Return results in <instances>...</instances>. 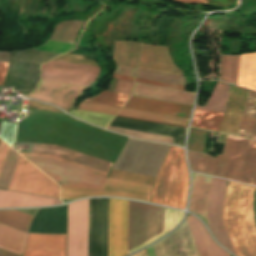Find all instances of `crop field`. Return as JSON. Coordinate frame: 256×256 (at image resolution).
<instances>
[{
  "label": "crop field",
  "mask_w": 256,
  "mask_h": 256,
  "mask_svg": "<svg viewBox=\"0 0 256 256\" xmlns=\"http://www.w3.org/2000/svg\"><path fill=\"white\" fill-rule=\"evenodd\" d=\"M254 211H255V220H256V196H255V202H254Z\"/></svg>",
  "instance_id": "0765c3eb"
},
{
  "label": "crop field",
  "mask_w": 256,
  "mask_h": 256,
  "mask_svg": "<svg viewBox=\"0 0 256 256\" xmlns=\"http://www.w3.org/2000/svg\"><path fill=\"white\" fill-rule=\"evenodd\" d=\"M54 60L98 66L95 60L83 59V56H79V55L64 54Z\"/></svg>",
  "instance_id": "5d738f31"
},
{
  "label": "crop field",
  "mask_w": 256,
  "mask_h": 256,
  "mask_svg": "<svg viewBox=\"0 0 256 256\" xmlns=\"http://www.w3.org/2000/svg\"><path fill=\"white\" fill-rule=\"evenodd\" d=\"M87 89L85 86L41 81L37 89L27 97L51 102L67 111L77 96Z\"/></svg>",
  "instance_id": "5142ce71"
},
{
  "label": "crop field",
  "mask_w": 256,
  "mask_h": 256,
  "mask_svg": "<svg viewBox=\"0 0 256 256\" xmlns=\"http://www.w3.org/2000/svg\"><path fill=\"white\" fill-rule=\"evenodd\" d=\"M223 114L196 110L191 126L219 132Z\"/></svg>",
  "instance_id": "750c4746"
},
{
  "label": "crop field",
  "mask_w": 256,
  "mask_h": 256,
  "mask_svg": "<svg viewBox=\"0 0 256 256\" xmlns=\"http://www.w3.org/2000/svg\"><path fill=\"white\" fill-rule=\"evenodd\" d=\"M8 148H9V146H7L5 143L1 142V145H0V170H1L2 164L4 162Z\"/></svg>",
  "instance_id": "73cf0c24"
},
{
  "label": "crop field",
  "mask_w": 256,
  "mask_h": 256,
  "mask_svg": "<svg viewBox=\"0 0 256 256\" xmlns=\"http://www.w3.org/2000/svg\"><path fill=\"white\" fill-rule=\"evenodd\" d=\"M110 178L122 179L152 185L155 177L112 170Z\"/></svg>",
  "instance_id": "b80d0937"
},
{
  "label": "crop field",
  "mask_w": 256,
  "mask_h": 256,
  "mask_svg": "<svg viewBox=\"0 0 256 256\" xmlns=\"http://www.w3.org/2000/svg\"><path fill=\"white\" fill-rule=\"evenodd\" d=\"M136 77L156 80V81H161L166 83H172V84H177L182 86H184L185 84V79L181 76L163 74V73L140 70V69H138Z\"/></svg>",
  "instance_id": "028f5c9d"
},
{
  "label": "crop field",
  "mask_w": 256,
  "mask_h": 256,
  "mask_svg": "<svg viewBox=\"0 0 256 256\" xmlns=\"http://www.w3.org/2000/svg\"><path fill=\"white\" fill-rule=\"evenodd\" d=\"M247 91L232 85L220 132L237 135Z\"/></svg>",
  "instance_id": "bc2a9ffb"
},
{
  "label": "crop field",
  "mask_w": 256,
  "mask_h": 256,
  "mask_svg": "<svg viewBox=\"0 0 256 256\" xmlns=\"http://www.w3.org/2000/svg\"><path fill=\"white\" fill-rule=\"evenodd\" d=\"M33 215L0 211V223L28 233ZM67 205L39 209L29 233L66 235ZM29 234L23 256H66V236Z\"/></svg>",
  "instance_id": "ac0d7876"
},
{
  "label": "crop field",
  "mask_w": 256,
  "mask_h": 256,
  "mask_svg": "<svg viewBox=\"0 0 256 256\" xmlns=\"http://www.w3.org/2000/svg\"><path fill=\"white\" fill-rule=\"evenodd\" d=\"M132 256H147V253H146V250L144 249V250H142V251H140V252H138V253H136Z\"/></svg>",
  "instance_id": "9d1cf04e"
},
{
  "label": "crop field",
  "mask_w": 256,
  "mask_h": 256,
  "mask_svg": "<svg viewBox=\"0 0 256 256\" xmlns=\"http://www.w3.org/2000/svg\"><path fill=\"white\" fill-rule=\"evenodd\" d=\"M256 188L227 181L224 228L238 256H256V225L253 202Z\"/></svg>",
  "instance_id": "412701ff"
},
{
  "label": "crop field",
  "mask_w": 256,
  "mask_h": 256,
  "mask_svg": "<svg viewBox=\"0 0 256 256\" xmlns=\"http://www.w3.org/2000/svg\"><path fill=\"white\" fill-rule=\"evenodd\" d=\"M193 184L189 211L207 224L206 208L211 177L192 173ZM208 226V224H207Z\"/></svg>",
  "instance_id": "00972430"
},
{
  "label": "crop field",
  "mask_w": 256,
  "mask_h": 256,
  "mask_svg": "<svg viewBox=\"0 0 256 256\" xmlns=\"http://www.w3.org/2000/svg\"><path fill=\"white\" fill-rule=\"evenodd\" d=\"M1 142V141H0Z\"/></svg>",
  "instance_id": "db79e9e6"
},
{
  "label": "crop field",
  "mask_w": 256,
  "mask_h": 256,
  "mask_svg": "<svg viewBox=\"0 0 256 256\" xmlns=\"http://www.w3.org/2000/svg\"><path fill=\"white\" fill-rule=\"evenodd\" d=\"M124 107L186 118H189L192 108L190 106H184L135 96H132Z\"/></svg>",
  "instance_id": "92a150f3"
},
{
  "label": "crop field",
  "mask_w": 256,
  "mask_h": 256,
  "mask_svg": "<svg viewBox=\"0 0 256 256\" xmlns=\"http://www.w3.org/2000/svg\"><path fill=\"white\" fill-rule=\"evenodd\" d=\"M225 184V180L212 177L207 208L208 223L209 228L216 237L217 241L236 255L230 243V240L223 228L222 208Z\"/></svg>",
  "instance_id": "22f410ed"
},
{
  "label": "crop field",
  "mask_w": 256,
  "mask_h": 256,
  "mask_svg": "<svg viewBox=\"0 0 256 256\" xmlns=\"http://www.w3.org/2000/svg\"><path fill=\"white\" fill-rule=\"evenodd\" d=\"M208 132L191 128L188 149L203 152Z\"/></svg>",
  "instance_id": "0bd39190"
},
{
  "label": "crop field",
  "mask_w": 256,
  "mask_h": 256,
  "mask_svg": "<svg viewBox=\"0 0 256 256\" xmlns=\"http://www.w3.org/2000/svg\"><path fill=\"white\" fill-rule=\"evenodd\" d=\"M188 157L193 171L256 186V141L228 135L216 159L190 150Z\"/></svg>",
  "instance_id": "34b2d1b8"
},
{
  "label": "crop field",
  "mask_w": 256,
  "mask_h": 256,
  "mask_svg": "<svg viewBox=\"0 0 256 256\" xmlns=\"http://www.w3.org/2000/svg\"><path fill=\"white\" fill-rule=\"evenodd\" d=\"M73 45L74 44H71V43H63L58 41L55 42V41L48 40L44 45L40 47H35L33 49L61 54L72 49Z\"/></svg>",
  "instance_id": "c035e120"
},
{
  "label": "crop field",
  "mask_w": 256,
  "mask_h": 256,
  "mask_svg": "<svg viewBox=\"0 0 256 256\" xmlns=\"http://www.w3.org/2000/svg\"><path fill=\"white\" fill-rule=\"evenodd\" d=\"M78 108L93 110V111H98V112H103V113H108V114H113V115H116V113L120 109L119 107H113V106L97 104V103H92V102H86V101L81 102V104L78 106Z\"/></svg>",
  "instance_id": "c21b1889"
},
{
  "label": "crop field",
  "mask_w": 256,
  "mask_h": 256,
  "mask_svg": "<svg viewBox=\"0 0 256 256\" xmlns=\"http://www.w3.org/2000/svg\"><path fill=\"white\" fill-rule=\"evenodd\" d=\"M8 189L59 198V186L21 156Z\"/></svg>",
  "instance_id": "d8731c3e"
},
{
  "label": "crop field",
  "mask_w": 256,
  "mask_h": 256,
  "mask_svg": "<svg viewBox=\"0 0 256 256\" xmlns=\"http://www.w3.org/2000/svg\"><path fill=\"white\" fill-rule=\"evenodd\" d=\"M178 2H186V3H205L208 4L207 0H173Z\"/></svg>",
  "instance_id": "1f2cbd36"
},
{
  "label": "crop field",
  "mask_w": 256,
  "mask_h": 256,
  "mask_svg": "<svg viewBox=\"0 0 256 256\" xmlns=\"http://www.w3.org/2000/svg\"><path fill=\"white\" fill-rule=\"evenodd\" d=\"M57 54L28 49L11 52L3 87L33 90L38 80L40 65Z\"/></svg>",
  "instance_id": "e52e79f7"
},
{
  "label": "crop field",
  "mask_w": 256,
  "mask_h": 256,
  "mask_svg": "<svg viewBox=\"0 0 256 256\" xmlns=\"http://www.w3.org/2000/svg\"><path fill=\"white\" fill-rule=\"evenodd\" d=\"M186 221L199 256H230L229 253L221 249L213 241L207 229L197 218L192 215H188Z\"/></svg>",
  "instance_id": "dafd665d"
},
{
  "label": "crop field",
  "mask_w": 256,
  "mask_h": 256,
  "mask_svg": "<svg viewBox=\"0 0 256 256\" xmlns=\"http://www.w3.org/2000/svg\"><path fill=\"white\" fill-rule=\"evenodd\" d=\"M240 56H221L219 80L237 85Z\"/></svg>",
  "instance_id": "1d83c4d3"
},
{
  "label": "crop field",
  "mask_w": 256,
  "mask_h": 256,
  "mask_svg": "<svg viewBox=\"0 0 256 256\" xmlns=\"http://www.w3.org/2000/svg\"><path fill=\"white\" fill-rule=\"evenodd\" d=\"M128 201L110 199L108 256L127 255Z\"/></svg>",
  "instance_id": "d1516ede"
},
{
  "label": "crop field",
  "mask_w": 256,
  "mask_h": 256,
  "mask_svg": "<svg viewBox=\"0 0 256 256\" xmlns=\"http://www.w3.org/2000/svg\"><path fill=\"white\" fill-rule=\"evenodd\" d=\"M138 68L182 75L172 62L166 47L142 44Z\"/></svg>",
  "instance_id": "4a817a6b"
},
{
  "label": "crop field",
  "mask_w": 256,
  "mask_h": 256,
  "mask_svg": "<svg viewBox=\"0 0 256 256\" xmlns=\"http://www.w3.org/2000/svg\"><path fill=\"white\" fill-rule=\"evenodd\" d=\"M19 154L9 148L2 170L0 172V188L7 189Z\"/></svg>",
  "instance_id": "d32e631a"
},
{
  "label": "crop field",
  "mask_w": 256,
  "mask_h": 256,
  "mask_svg": "<svg viewBox=\"0 0 256 256\" xmlns=\"http://www.w3.org/2000/svg\"><path fill=\"white\" fill-rule=\"evenodd\" d=\"M188 172L183 150L171 146L155 179L151 202L185 209Z\"/></svg>",
  "instance_id": "dd49c442"
},
{
  "label": "crop field",
  "mask_w": 256,
  "mask_h": 256,
  "mask_svg": "<svg viewBox=\"0 0 256 256\" xmlns=\"http://www.w3.org/2000/svg\"><path fill=\"white\" fill-rule=\"evenodd\" d=\"M21 154H23V153H21ZM30 155H34V154H30ZM42 156H46V155H42ZM48 157H53V156H48ZM53 158H56V157H53ZM56 159H59V158H56ZM59 160H62V161H65V162H68V163H71V164H74V165H77V166H81V167H84V168H87V169H90V170H93V171H96V172H100V173H103V174L107 175V173H104V172H101V171H97V170H94V169H91V168H88V167H85V166H82V165H78V164H75V163L63 160V159H59Z\"/></svg>",
  "instance_id": "dbb93151"
},
{
  "label": "crop field",
  "mask_w": 256,
  "mask_h": 256,
  "mask_svg": "<svg viewBox=\"0 0 256 256\" xmlns=\"http://www.w3.org/2000/svg\"><path fill=\"white\" fill-rule=\"evenodd\" d=\"M99 73L100 67L50 61L42 67L41 80L89 86Z\"/></svg>",
  "instance_id": "28ad6ade"
},
{
  "label": "crop field",
  "mask_w": 256,
  "mask_h": 256,
  "mask_svg": "<svg viewBox=\"0 0 256 256\" xmlns=\"http://www.w3.org/2000/svg\"><path fill=\"white\" fill-rule=\"evenodd\" d=\"M0 256H17V255L0 250Z\"/></svg>",
  "instance_id": "1d79db26"
},
{
  "label": "crop field",
  "mask_w": 256,
  "mask_h": 256,
  "mask_svg": "<svg viewBox=\"0 0 256 256\" xmlns=\"http://www.w3.org/2000/svg\"><path fill=\"white\" fill-rule=\"evenodd\" d=\"M135 71H136V69H134V68L123 67V66H118L117 65V71H115L114 73H118V74H123V75L134 77Z\"/></svg>",
  "instance_id": "25e5ab78"
},
{
  "label": "crop field",
  "mask_w": 256,
  "mask_h": 256,
  "mask_svg": "<svg viewBox=\"0 0 256 256\" xmlns=\"http://www.w3.org/2000/svg\"><path fill=\"white\" fill-rule=\"evenodd\" d=\"M30 153L57 156L105 172H108L112 166V163L88 155H84L57 145L32 143Z\"/></svg>",
  "instance_id": "733c2abd"
},
{
  "label": "crop field",
  "mask_w": 256,
  "mask_h": 256,
  "mask_svg": "<svg viewBox=\"0 0 256 256\" xmlns=\"http://www.w3.org/2000/svg\"><path fill=\"white\" fill-rule=\"evenodd\" d=\"M27 233L0 224V249L22 255Z\"/></svg>",
  "instance_id": "4177f3b9"
},
{
  "label": "crop field",
  "mask_w": 256,
  "mask_h": 256,
  "mask_svg": "<svg viewBox=\"0 0 256 256\" xmlns=\"http://www.w3.org/2000/svg\"><path fill=\"white\" fill-rule=\"evenodd\" d=\"M132 85L131 81L117 79L115 92L131 95Z\"/></svg>",
  "instance_id": "d23c7cc5"
},
{
  "label": "crop field",
  "mask_w": 256,
  "mask_h": 256,
  "mask_svg": "<svg viewBox=\"0 0 256 256\" xmlns=\"http://www.w3.org/2000/svg\"><path fill=\"white\" fill-rule=\"evenodd\" d=\"M256 118V92L248 91L238 136L247 137L249 132L252 133Z\"/></svg>",
  "instance_id": "ae1a2a85"
},
{
  "label": "crop field",
  "mask_w": 256,
  "mask_h": 256,
  "mask_svg": "<svg viewBox=\"0 0 256 256\" xmlns=\"http://www.w3.org/2000/svg\"><path fill=\"white\" fill-rule=\"evenodd\" d=\"M60 203L57 199L0 190V207H36Z\"/></svg>",
  "instance_id": "a9b5d70f"
},
{
  "label": "crop field",
  "mask_w": 256,
  "mask_h": 256,
  "mask_svg": "<svg viewBox=\"0 0 256 256\" xmlns=\"http://www.w3.org/2000/svg\"><path fill=\"white\" fill-rule=\"evenodd\" d=\"M113 77H115V78H120V79L131 80V81H133V79H134V78H132V77H126V76H121V75H117V74H114Z\"/></svg>",
  "instance_id": "0fb4a251"
},
{
  "label": "crop field",
  "mask_w": 256,
  "mask_h": 256,
  "mask_svg": "<svg viewBox=\"0 0 256 256\" xmlns=\"http://www.w3.org/2000/svg\"><path fill=\"white\" fill-rule=\"evenodd\" d=\"M25 156L60 186L101 188L106 175L89 171L52 158ZM24 157V158H25ZM61 187V199L93 196H119L150 202V185L106 178L101 189Z\"/></svg>",
  "instance_id": "8a807250"
},
{
  "label": "crop field",
  "mask_w": 256,
  "mask_h": 256,
  "mask_svg": "<svg viewBox=\"0 0 256 256\" xmlns=\"http://www.w3.org/2000/svg\"><path fill=\"white\" fill-rule=\"evenodd\" d=\"M238 85L256 90V53L241 56Z\"/></svg>",
  "instance_id": "eef30255"
},
{
  "label": "crop field",
  "mask_w": 256,
  "mask_h": 256,
  "mask_svg": "<svg viewBox=\"0 0 256 256\" xmlns=\"http://www.w3.org/2000/svg\"><path fill=\"white\" fill-rule=\"evenodd\" d=\"M140 45L135 42H115L114 60L116 64L136 68Z\"/></svg>",
  "instance_id": "730fd06b"
},
{
  "label": "crop field",
  "mask_w": 256,
  "mask_h": 256,
  "mask_svg": "<svg viewBox=\"0 0 256 256\" xmlns=\"http://www.w3.org/2000/svg\"><path fill=\"white\" fill-rule=\"evenodd\" d=\"M135 81L148 83V84L159 85V86H164V87H170V88H175V89H181V90H183V88H184L182 86L171 85V84H166V83H161V82H156V81H150V80H144V79H138V78H136Z\"/></svg>",
  "instance_id": "425ffa30"
},
{
  "label": "crop field",
  "mask_w": 256,
  "mask_h": 256,
  "mask_svg": "<svg viewBox=\"0 0 256 256\" xmlns=\"http://www.w3.org/2000/svg\"><path fill=\"white\" fill-rule=\"evenodd\" d=\"M109 199H90L88 256H107Z\"/></svg>",
  "instance_id": "3316defc"
},
{
  "label": "crop field",
  "mask_w": 256,
  "mask_h": 256,
  "mask_svg": "<svg viewBox=\"0 0 256 256\" xmlns=\"http://www.w3.org/2000/svg\"><path fill=\"white\" fill-rule=\"evenodd\" d=\"M16 125L11 123H2L0 137L9 145L13 144Z\"/></svg>",
  "instance_id": "b54c1fbb"
},
{
  "label": "crop field",
  "mask_w": 256,
  "mask_h": 256,
  "mask_svg": "<svg viewBox=\"0 0 256 256\" xmlns=\"http://www.w3.org/2000/svg\"><path fill=\"white\" fill-rule=\"evenodd\" d=\"M129 97H130L129 95H123V94L104 91L99 95H97L96 97L86 99V101H92V102L122 107Z\"/></svg>",
  "instance_id": "e1f06a70"
},
{
  "label": "crop field",
  "mask_w": 256,
  "mask_h": 256,
  "mask_svg": "<svg viewBox=\"0 0 256 256\" xmlns=\"http://www.w3.org/2000/svg\"><path fill=\"white\" fill-rule=\"evenodd\" d=\"M193 92H185L170 88L148 85L135 82L133 95L157 100H163L184 105L193 104Z\"/></svg>",
  "instance_id": "214f88e0"
},
{
  "label": "crop field",
  "mask_w": 256,
  "mask_h": 256,
  "mask_svg": "<svg viewBox=\"0 0 256 256\" xmlns=\"http://www.w3.org/2000/svg\"><path fill=\"white\" fill-rule=\"evenodd\" d=\"M89 199L68 207L67 256H87Z\"/></svg>",
  "instance_id": "5a996713"
},
{
  "label": "crop field",
  "mask_w": 256,
  "mask_h": 256,
  "mask_svg": "<svg viewBox=\"0 0 256 256\" xmlns=\"http://www.w3.org/2000/svg\"><path fill=\"white\" fill-rule=\"evenodd\" d=\"M152 247L156 256H198L186 221L175 232ZM152 247L146 248L149 256H155Z\"/></svg>",
  "instance_id": "cbeb9de0"
},
{
  "label": "crop field",
  "mask_w": 256,
  "mask_h": 256,
  "mask_svg": "<svg viewBox=\"0 0 256 256\" xmlns=\"http://www.w3.org/2000/svg\"><path fill=\"white\" fill-rule=\"evenodd\" d=\"M184 212L129 201L128 254L162 237Z\"/></svg>",
  "instance_id": "f4fd0767"
},
{
  "label": "crop field",
  "mask_w": 256,
  "mask_h": 256,
  "mask_svg": "<svg viewBox=\"0 0 256 256\" xmlns=\"http://www.w3.org/2000/svg\"><path fill=\"white\" fill-rule=\"evenodd\" d=\"M110 125L166 136H172L175 137L172 143L179 146H183L186 134V128L183 127L162 125L119 116H116Z\"/></svg>",
  "instance_id": "d9b57169"
},
{
  "label": "crop field",
  "mask_w": 256,
  "mask_h": 256,
  "mask_svg": "<svg viewBox=\"0 0 256 256\" xmlns=\"http://www.w3.org/2000/svg\"><path fill=\"white\" fill-rule=\"evenodd\" d=\"M8 63L0 62V85L3 84L6 68Z\"/></svg>",
  "instance_id": "89e229c0"
},
{
  "label": "crop field",
  "mask_w": 256,
  "mask_h": 256,
  "mask_svg": "<svg viewBox=\"0 0 256 256\" xmlns=\"http://www.w3.org/2000/svg\"><path fill=\"white\" fill-rule=\"evenodd\" d=\"M69 113H71L72 115H74L84 121L93 123V124L101 126L103 128H105L107 126V124L114 117L112 115L100 114V113H95V112H90V111H85V110H80V109H78L77 111L73 110Z\"/></svg>",
  "instance_id": "5866460e"
},
{
  "label": "crop field",
  "mask_w": 256,
  "mask_h": 256,
  "mask_svg": "<svg viewBox=\"0 0 256 256\" xmlns=\"http://www.w3.org/2000/svg\"><path fill=\"white\" fill-rule=\"evenodd\" d=\"M118 115L125 116V117H131V118H137V119H143V120H148V121L184 126V127H186L187 122L189 120V119H185V118L170 117V116H164V115L153 114V113H148V112L125 109V108H122V110L119 112Z\"/></svg>",
  "instance_id": "d3111659"
},
{
  "label": "crop field",
  "mask_w": 256,
  "mask_h": 256,
  "mask_svg": "<svg viewBox=\"0 0 256 256\" xmlns=\"http://www.w3.org/2000/svg\"><path fill=\"white\" fill-rule=\"evenodd\" d=\"M108 129H111V130L116 131V132L128 134V135L140 137V138L162 141V142H167V143H171L172 140H173V138H171V137H165V136H159V135H153V134H147V133H141V132L111 128V127H108Z\"/></svg>",
  "instance_id": "03da06ac"
},
{
  "label": "crop field",
  "mask_w": 256,
  "mask_h": 256,
  "mask_svg": "<svg viewBox=\"0 0 256 256\" xmlns=\"http://www.w3.org/2000/svg\"><path fill=\"white\" fill-rule=\"evenodd\" d=\"M251 138L256 139V122H255L254 131Z\"/></svg>",
  "instance_id": "447ae74e"
},
{
  "label": "crop field",
  "mask_w": 256,
  "mask_h": 256,
  "mask_svg": "<svg viewBox=\"0 0 256 256\" xmlns=\"http://www.w3.org/2000/svg\"><path fill=\"white\" fill-rule=\"evenodd\" d=\"M230 86V84L218 81L207 105L204 107L197 106L196 109L224 112Z\"/></svg>",
  "instance_id": "bd1437ed"
},
{
  "label": "crop field",
  "mask_w": 256,
  "mask_h": 256,
  "mask_svg": "<svg viewBox=\"0 0 256 256\" xmlns=\"http://www.w3.org/2000/svg\"><path fill=\"white\" fill-rule=\"evenodd\" d=\"M82 24L81 21H63L56 25L50 39L75 43L74 36Z\"/></svg>",
  "instance_id": "120bbe31"
}]
</instances>
